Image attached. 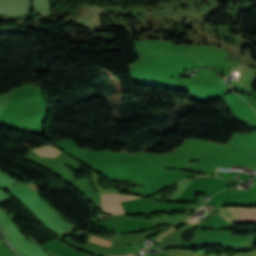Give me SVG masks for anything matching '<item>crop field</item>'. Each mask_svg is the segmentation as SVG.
I'll use <instances>...</instances> for the list:
<instances>
[{
	"mask_svg": "<svg viewBox=\"0 0 256 256\" xmlns=\"http://www.w3.org/2000/svg\"><path fill=\"white\" fill-rule=\"evenodd\" d=\"M128 256H133L132 254L128 255Z\"/></svg>",
	"mask_w": 256,
	"mask_h": 256,
	"instance_id": "5",
	"label": "crop field"
},
{
	"mask_svg": "<svg viewBox=\"0 0 256 256\" xmlns=\"http://www.w3.org/2000/svg\"><path fill=\"white\" fill-rule=\"evenodd\" d=\"M90 241L99 243V244H103V245H107V246H109L111 243L110 240H106V239H102V238H98V237H94V236L92 237V239Z\"/></svg>",
	"mask_w": 256,
	"mask_h": 256,
	"instance_id": "4",
	"label": "crop field"
},
{
	"mask_svg": "<svg viewBox=\"0 0 256 256\" xmlns=\"http://www.w3.org/2000/svg\"><path fill=\"white\" fill-rule=\"evenodd\" d=\"M222 216L230 222H237L239 221V212L238 207H224L220 208ZM240 211V221L243 222V215H244V222H256V208H243V215H242V208L239 207Z\"/></svg>",
	"mask_w": 256,
	"mask_h": 256,
	"instance_id": "1",
	"label": "crop field"
},
{
	"mask_svg": "<svg viewBox=\"0 0 256 256\" xmlns=\"http://www.w3.org/2000/svg\"><path fill=\"white\" fill-rule=\"evenodd\" d=\"M140 198L132 195L123 196V195H105L101 194L102 207L103 210L116 214L124 212L119 201Z\"/></svg>",
	"mask_w": 256,
	"mask_h": 256,
	"instance_id": "2",
	"label": "crop field"
},
{
	"mask_svg": "<svg viewBox=\"0 0 256 256\" xmlns=\"http://www.w3.org/2000/svg\"><path fill=\"white\" fill-rule=\"evenodd\" d=\"M33 151H35L40 156H48V157H55L62 152L56 147L49 146V145L33 149Z\"/></svg>",
	"mask_w": 256,
	"mask_h": 256,
	"instance_id": "3",
	"label": "crop field"
}]
</instances>
